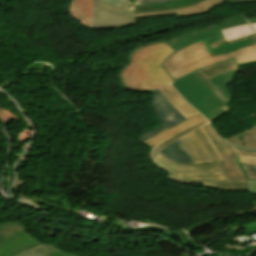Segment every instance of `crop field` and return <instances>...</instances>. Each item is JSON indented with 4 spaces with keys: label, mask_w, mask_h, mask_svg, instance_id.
<instances>
[{
    "label": "crop field",
    "mask_w": 256,
    "mask_h": 256,
    "mask_svg": "<svg viewBox=\"0 0 256 256\" xmlns=\"http://www.w3.org/2000/svg\"><path fill=\"white\" fill-rule=\"evenodd\" d=\"M213 162L184 164L164 158L159 153L150 158L152 163L169 172L167 179L181 183H204V186L226 191H248L246 180L229 182L218 161L221 160L213 144L201 130L193 131Z\"/></svg>",
    "instance_id": "8a807250"
},
{
    "label": "crop field",
    "mask_w": 256,
    "mask_h": 256,
    "mask_svg": "<svg viewBox=\"0 0 256 256\" xmlns=\"http://www.w3.org/2000/svg\"><path fill=\"white\" fill-rule=\"evenodd\" d=\"M173 51L165 41L146 44L133 50L128 57L129 63L119 72L121 86L128 90L146 92L172 82L160 64Z\"/></svg>",
    "instance_id": "ac0d7876"
},
{
    "label": "crop field",
    "mask_w": 256,
    "mask_h": 256,
    "mask_svg": "<svg viewBox=\"0 0 256 256\" xmlns=\"http://www.w3.org/2000/svg\"><path fill=\"white\" fill-rule=\"evenodd\" d=\"M231 59L237 66L256 62V44L213 57L204 39L173 52L161 65L176 81L202 68Z\"/></svg>",
    "instance_id": "34b2d1b8"
},
{
    "label": "crop field",
    "mask_w": 256,
    "mask_h": 256,
    "mask_svg": "<svg viewBox=\"0 0 256 256\" xmlns=\"http://www.w3.org/2000/svg\"><path fill=\"white\" fill-rule=\"evenodd\" d=\"M139 0H128L120 8L93 1L92 28L105 29L135 23L134 6Z\"/></svg>",
    "instance_id": "412701ff"
},
{
    "label": "crop field",
    "mask_w": 256,
    "mask_h": 256,
    "mask_svg": "<svg viewBox=\"0 0 256 256\" xmlns=\"http://www.w3.org/2000/svg\"><path fill=\"white\" fill-rule=\"evenodd\" d=\"M204 38H206L209 49L213 56L217 54L230 53V51L256 43L255 34L225 42L221 30L218 29L184 38L174 44H171V46L176 50L186 44L193 41L202 40Z\"/></svg>",
    "instance_id": "f4fd0767"
},
{
    "label": "crop field",
    "mask_w": 256,
    "mask_h": 256,
    "mask_svg": "<svg viewBox=\"0 0 256 256\" xmlns=\"http://www.w3.org/2000/svg\"><path fill=\"white\" fill-rule=\"evenodd\" d=\"M26 230L17 222L0 224V231L10 238L0 244V256H13L27 248L44 244L27 234Z\"/></svg>",
    "instance_id": "dd49c442"
},
{
    "label": "crop field",
    "mask_w": 256,
    "mask_h": 256,
    "mask_svg": "<svg viewBox=\"0 0 256 256\" xmlns=\"http://www.w3.org/2000/svg\"><path fill=\"white\" fill-rule=\"evenodd\" d=\"M211 142L214 144L216 150L222 157L223 161L220 162L224 172L226 173L229 181L245 179L239 166L235 162L234 158L236 154L231 149L228 143H226L219 134L213 129L210 124L201 127Z\"/></svg>",
    "instance_id": "e52e79f7"
},
{
    "label": "crop field",
    "mask_w": 256,
    "mask_h": 256,
    "mask_svg": "<svg viewBox=\"0 0 256 256\" xmlns=\"http://www.w3.org/2000/svg\"><path fill=\"white\" fill-rule=\"evenodd\" d=\"M172 85L202 115L219 108L189 76L173 82Z\"/></svg>",
    "instance_id": "d8731c3e"
},
{
    "label": "crop field",
    "mask_w": 256,
    "mask_h": 256,
    "mask_svg": "<svg viewBox=\"0 0 256 256\" xmlns=\"http://www.w3.org/2000/svg\"><path fill=\"white\" fill-rule=\"evenodd\" d=\"M150 102L154 115L168 128L186 119L166 100L159 89Z\"/></svg>",
    "instance_id": "5a996713"
},
{
    "label": "crop field",
    "mask_w": 256,
    "mask_h": 256,
    "mask_svg": "<svg viewBox=\"0 0 256 256\" xmlns=\"http://www.w3.org/2000/svg\"><path fill=\"white\" fill-rule=\"evenodd\" d=\"M222 1L223 0H205V1H203L197 5H194V6H189V7H184V8L169 10V11H162V12L136 14V17L173 15V14H176L177 17H184V16L202 14V13H205V12L213 9L215 6H217Z\"/></svg>",
    "instance_id": "3316defc"
},
{
    "label": "crop field",
    "mask_w": 256,
    "mask_h": 256,
    "mask_svg": "<svg viewBox=\"0 0 256 256\" xmlns=\"http://www.w3.org/2000/svg\"><path fill=\"white\" fill-rule=\"evenodd\" d=\"M238 157L235 158L245 178L256 181V150H247L232 146Z\"/></svg>",
    "instance_id": "28ad6ade"
},
{
    "label": "crop field",
    "mask_w": 256,
    "mask_h": 256,
    "mask_svg": "<svg viewBox=\"0 0 256 256\" xmlns=\"http://www.w3.org/2000/svg\"><path fill=\"white\" fill-rule=\"evenodd\" d=\"M160 91L186 118L198 114L170 85L160 88Z\"/></svg>",
    "instance_id": "d1516ede"
},
{
    "label": "crop field",
    "mask_w": 256,
    "mask_h": 256,
    "mask_svg": "<svg viewBox=\"0 0 256 256\" xmlns=\"http://www.w3.org/2000/svg\"><path fill=\"white\" fill-rule=\"evenodd\" d=\"M205 118L202 117L201 115L199 116H195V117H192L190 119H188L187 121L171 128V129H168L166 131H163L159 134H157L155 137H153L152 139L148 140L145 145H148L149 148L153 149L154 147H156L159 143H161L163 140L187 129L188 127L204 120Z\"/></svg>",
    "instance_id": "22f410ed"
},
{
    "label": "crop field",
    "mask_w": 256,
    "mask_h": 256,
    "mask_svg": "<svg viewBox=\"0 0 256 256\" xmlns=\"http://www.w3.org/2000/svg\"><path fill=\"white\" fill-rule=\"evenodd\" d=\"M70 15L91 28L92 4L91 0H72Z\"/></svg>",
    "instance_id": "cbeb9de0"
},
{
    "label": "crop field",
    "mask_w": 256,
    "mask_h": 256,
    "mask_svg": "<svg viewBox=\"0 0 256 256\" xmlns=\"http://www.w3.org/2000/svg\"><path fill=\"white\" fill-rule=\"evenodd\" d=\"M243 24H247V22L241 16V14L235 15L233 17L227 18L226 20H224L223 22H221L217 25H213V26L207 27L203 30H196V31H193V32H189V33L174 37V38L168 40V43L171 44V43H173V42H175V41H177L181 38L191 36V35H194V34L211 31V30L218 29V28L224 30V29L232 28V27H235V26L243 25Z\"/></svg>",
    "instance_id": "5142ce71"
},
{
    "label": "crop field",
    "mask_w": 256,
    "mask_h": 256,
    "mask_svg": "<svg viewBox=\"0 0 256 256\" xmlns=\"http://www.w3.org/2000/svg\"><path fill=\"white\" fill-rule=\"evenodd\" d=\"M159 153L177 162L192 163L186 149L181 144L179 139L167 145Z\"/></svg>",
    "instance_id": "d9b57169"
},
{
    "label": "crop field",
    "mask_w": 256,
    "mask_h": 256,
    "mask_svg": "<svg viewBox=\"0 0 256 256\" xmlns=\"http://www.w3.org/2000/svg\"><path fill=\"white\" fill-rule=\"evenodd\" d=\"M236 71H238V69L225 72L208 79L213 84V86L229 101L232 99L233 96L230 90L227 88V84L232 83L234 81Z\"/></svg>",
    "instance_id": "733c2abd"
},
{
    "label": "crop field",
    "mask_w": 256,
    "mask_h": 256,
    "mask_svg": "<svg viewBox=\"0 0 256 256\" xmlns=\"http://www.w3.org/2000/svg\"><path fill=\"white\" fill-rule=\"evenodd\" d=\"M200 87L201 89L212 98L219 106L228 102V100L222 96L212 84L201 76L198 72L189 75Z\"/></svg>",
    "instance_id": "4a817a6b"
},
{
    "label": "crop field",
    "mask_w": 256,
    "mask_h": 256,
    "mask_svg": "<svg viewBox=\"0 0 256 256\" xmlns=\"http://www.w3.org/2000/svg\"><path fill=\"white\" fill-rule=\"evenodd\" d=\"M203 0H179L176 2L166 3V4H158V5H141L135 6L136 13L142 12H153V11H162L180 8L184 6L194 5Z\"/></svg>",
    "instance_id": "bc2a9ffb"
},
{
    "label": "crop field",
    "mask_w": 256,
    "mask_h": 256,
    "mask_svg": "<svg viewBox=\"0 0 256 256\" xmlns=\"http://www.w3.org/2000/svg\"><path fill=\"white\" fill-rule=\"evenodd\" d=\"M226 140L235 145L256 149V125Z\"/></svg>",
    "instance_id": "214f88e0"
},
{
    "label": "crop field",
    "mask_w": 256,
    "mask_h": 256,
    "mask_svg": "<svg viewBox=\"0 0 256 256\" xmlns=\"http://www.w3.org/2000/svg\"><path fill=\"white\" fill-rule=\"evenodd\" d=\"M232 69H237L233 60L228 61L226 63L217 64L214 66L207 67L198 72L207 79L213 75H216V74L228 71V70H232Z\"/></svg>",
    "instance_id": "92a150f3"
},
{
    "label": "crop field",
    "mask_w": 256,
    "mask_h": 256,
    "mask_svg": "<svg viewBox=\"0 0 256 256\" xmlns=\"http://www.w3.org/2000/svg\"><path fill=\"white\" fill-rule=\"evenodd\" d=\"M225 40H231L245 35L253 34L249 24L222 31Z\"/></svg>",
    "instance_id": "dafd665d"
},
{
    "label": "crop field",
    "mask_w": 256,
    "mask_h": 256,
    "mask_svg": "<svg viewBox=\"0 0 256 256\" xmlns=\"http://www.w3.org/2000/svg\"><path fill=\"white\" fill-rule=\"evenodd\" d=\"M57 250L50 244H44L34 248L27 249L15 256H45L53 251Z\"/></svg>",
    "instance_id": "00972430"
},
{
    "label": "crop field",
    "mask_w": 256,
    "mask_h": 256,
    "mask_svg": "<svg viewBox=\"0 0 256 256\" xmlns=\"http://www.w3.org/2000/svg\"><path fill=\"white\" fill-rule=\"evenodd\" d=\"M186 138L189 140V142L191 143L193 149L195 150L198 158L200 159L201 162H208L211 161V159L208 157V155L206 154L203 146L201 145V143L198 141V139L196 138V136L193 134V132L185 135Z\"/></svg>",
    "instance_id": "a9b5d70f"
},
{
    "label": "crop field",
    "mask_w": 256,
    "mask_h": 256,
    "mask_svg": "<svg viewBox=\"0 0 256 256\" xmlns=\"http://www.w3.org/2000/svg\"><path fill=\"white\" fill-rule=\"evenodd\" d=\"M205 123H207L206 120H204V121H202V122H200V123H198V124H196V125H194V126L188 128L187 130H185V131H183V132H181V133H179V134H177V135H175V136H173V137H171V138H169V139L163 141V142H162L161 144H159L156 148H154L153 150H151L150 155L155 154L157 151H159L160 149H162L164 146H166L167 144H169V143L172 142L173 140H175V139H177V138L183 136L184 134H186V133H188V132H190V131H192V130L198 128L199 126H201V125H203V124H205Z\"/></svg>",
    "instance_id": "4177f3b9"
},
{
    "label": "crop field",
    "mask_w": 256,
    "mask_h": 256,
    "mask_svg": "<svg viewBox=\"0 0 256 256\" xmlns=\"http://www.w3.org/2000/svg\"><path fill=\"white\" fill-rule=\"evenodd\" d=\"M165 129H168L167 127H165L163 124L148 131L147 133L143 134L142 137H140V142L142 144H144L148 139L152 138L154 135H156L157 133L165 130Z\"/></svg>",
    "instance_id": "730fd06b"
},
{
    "label": "crop field",
    "mask_w": 256,
    "mask_h": 256,
    "mask_svg": "<svg viewBox=\"0 0 256 256\" xmlns=\"http://www.w3.org/2000/svg\"><path fill=\"white\" fill-rule=\"evenodd\" d=\"M179 139H180V141L183 143V145L185 146V148L187 149V151H188L190 157L192 158L193 162H194V163L199 162V160H198V158H197L195 152L193 151V149H192L190 143H189L188 140L185 138V136H183V137H181V138H179Z\"/></svg>",
    "instance_id": "eef30255"
},
{
    "label": "crop field",
    "mask_w": 256,
    "mask_h": 256,
    "mask_svg": "<svg viewBox=\"0 0 256 256\" xmlns=\"http://www.w3.org/2000/svg\"><path fill=\"white\" fill-rule=\"evenodd\" d=\"M175 0H140V2L137 5L141 4H157V3H165V2H171Z\"/></svg>",
    "instance_id": "ae1a2a85"
},
{
    "label": "crop field",
    "mask_w": 256,
    "mask_h": 256,
    "mask_svg": "<svg viewBox=\"0 0 256 256\" xmlns=\"http://www.w3.org/2000/svg\"><path fill=\"white\" fill-rule=\"evenodd\" d=\"M99 1L119 7L123 3L124 0H99Z\"/></svg>",
    "instance_id": "d3111659"
},
{
    "label": "crop field",
    "mask_w": 256,
    "mask_h": 256,
    "mask_svg": "<svg viewBox=\"0 0 256 256\" xmlns=\"http://www.w3.org/2000/svg\"><path fill=\"white\" fill-rule=\"evenodd\" d=\"M48 256H73V255H70V254H68L66 252L58 250V251H56V252H54V253H52V254H50Z\"/></svg>",
    "instance_id": "750c4746"
},
{
    "label": "crop field",
    "mask_w": 256,
    "mask_h": 256,
    "mask_svg": "<svg viewBox=\"0 0 256 256\" xmlns=\"http://www.w3.org/2000/svg\"><path fill=\"white\" fill-rule=\"evenodd\" d=\"M250 194H256V182H249Z\"/></svg>",
    "instance_id": "bd1437ed"
},
{
    "label": "crop field",
    "mask_w": 256,
    "mask_h": 256,
    "mask_svg": "<svg viewBox=\"0 0 256 256\" xmlns=\"http://www.w3.org/2000/svg\"><path fill=\"white\" fill-rule=\"evenodd\" d=\"M230 3L256 2V0H228Z\"/></svg>",
    "instance_id": "1d83c4d3"
},
{
    "label": "crop field",
    "mask_w": 256,
    "mask_h": 256,
    "mask_svg": "<svg viewBox=\"0 0 256 256\" xmlns=\"http://www.w3.org/2000/svg\"><path fill=\"white\" fill-rule=\"evenodd\" d=\"M6 239L8 238L0 232V243Z\"/></svg>",
    "instance_id": "120bbe31"
},
{
    "label": "crop field",
    "mask_w": 256,
    "mask_h": 256,
    "mask_svg": "<svg viewBox=\"0 0 256 256\" xmlns=\"http://www.w3.org/2000/svg\"><path fill=\"white\" fill-rule=\"evenodd\" d=\"M249 23H253V22H256V17L255 18H247Z\"/></svg>",
    "instance_id": "d32e631a"
},
{
    "label": "crop field",
    "mask_w": 256,
    "mask_h": 256,
    "mask_svg": "<svg viewBox=\"0 0 256 256\" xmlns=\"http://www.w3.org/2000/svg\"><path fill=\"white\" fill-rule=\"evenodd\" d=\"M251 26L254 29L255 33H256V23L251 24Z\"/></svg>",
    "instance_id": "5866460e"
}]
</instances>
